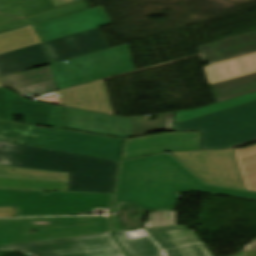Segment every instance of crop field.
I'll return each instance as SVG.
<instances>
[{"instance_id": "crop-field-1", "label": "crop field", "mask_w": 256, "mask_h": 256, "mask_svg": "<svg viewBox=\"0 0 256 256\" xmlns=\"http://www.w3.org/2000/svg\"><path fill=\"white\" fill-rule=\"evenodd\" d=\"M181 185L256 199V192L206 185L173 156L158 154L121 162L112 215L122 203L136 204L141 210L173 209Z\"/></svg>"}, {"instance_id": "crop-field-2", "label": "crop field", "mask_w": 256, "mask_h": 256, "mask_svg": "<svg viewBox=\"0 0 256 256\" xmlns=\"http://www.w3.org/2000/svg\"><path fill=\"white\" fill-rule=\"evenodd\" d=\"M118 162L0 142V165L70 173L68 191L113 193Z\"/></svg>"}, {"instance_id": "crop-field-3", "label": "crop field", "mask_w": 256, "mask_h": 256, "mask_svg": "<svg viewBox=\"0 0 256 256\" xmlns=\"http://www.w3.org/2000/svg\"><path fill=\"white\" fill-rule=\"evenodd\" d=\"M0 141L117 161L121 139L0 121Z\"/></svg>"}, {"instance_id": "crop-field-4", "label": "crop field", "mask_w": 256, "mask_h": 256, "mask_svg": "<svg viewBox=\"0 0 256 256\" xmlns=\"http://www.w3.org/2000/svg\"><path fill=\"white\" fill-rule=\"evenodd\" d=\"M203 130L201 149L234 148L256 140V101L174 125Z\"/></svg>"}, {"instance_id": "crop-field-5", "label": "crop field", "mask_w": 256, "mask_h": 256, "mask_svg": "<svg viewBox=\"0 0 256 256\" xmlns=\"http://www.w3.org/2000/svg\"><path fill=\"white\" fill-rule=\"evenodd\" d=\"M111 200L112 195L0 189V207H16L18 217L91 213L97 208L109 212Z\"/></svg>"}, {"instance_id": "crop-field-6", "label": "crop field", "mask_w": 256, "mask_h": 256, "mask_svg": "<svg viewBox=\"0 0 256 256\" xmlns=\"http://www.w3.org/2000/svg\"><path fill=\"white\" fill-rule=\"evenodd\" d=\"M31 227L40 229L37 241L110 232L109 216L0 219V245L31 242Z\"/></svg>"}, {"instance_id": "crop-field-7", "label": "crop field", "mask_w": 256, "mask_h": 256, "mask_svg": "<svg viewBox=\"0 0 256 256\" xmlns=\"http://www.w3.org/2000/svg\"><path fill=\"white\" fill-rule=\"evenodd\" d=\"M64 61L50 65L59 90L134 70L127 45Z\"/></svg>"}, {"instance_id": "crop-field-8", "label": "crop field", "mask_w": 256, "mask_h": 256, "mask_svg": "<svg viewBox=\"0 0 256 256\" xmlns=\"http://www.w3.org/2000/svg\"><path fill=\"white\" fill-rule=\"evenodd\" d=\"M137 121V117L123 118L111 114L65 107V129L108 135L136 137L155 131H172L174 113L158 115L156 121ZM156 128V130H153Z\"/></svg>"}, {"instance_id": "crop-field-9", "label": "crop field", "mask_w": 256, "mask_h": 256, "mask_svg": "<svg viewBox=\"0 0 256 256\" xmlns=\"http://www.w3.org/2000/svg\"><path fill=\"white\" fill-rule=\"evenodd\" d=\"M9 250L30 256H124L109 233L0 246Z\"/></svg>"}, {"instance_id": "crop-field-10", "label": "crop field", "mask_w": 256, "mask_h": 256, "mask_svg": "<svg viewBox=\"0 0 256 256\" xmlns=\"http://www.w3.org/2000/svg\"><path fill=\"white\" fill-rule=\"evenodd\" d=\"M170 153L208 184L246 190L233 149Z\"/></svg>"}, {"instance_id": "crop-field-11", "label": "crop field", "mask_w": 256, "mask_h": 256, "mask_svg": "<svg viewBox=\"0 0 256 256\" xmlns=\"http://www.w3.org/2000/svg\"><path fill=\"white\" fill-rule=\"evenodd\" d=\"M199 132H170L125 139L122 159L163 151L198 150Z\"/></svg>"}, {"instance_id": "crop-field-12", "label": "crop field", "mask_w": 256, "mask_h": 256, "mask_svg": "<svg viewBox=\"0 0 256 256\" xmlns=\"http://www.w3.org/2000/svg\"><path fill=\"white\" fill-rule=\"evenodd\" d=\"M110 24L102 6L35 23L43 42Z\"/></svg>"}, {"instance_id": "crop-field-13", "label": "crop field", "mask_w": 256, "mask_h": 256, "mask_svg": "<svg viewBox=\"0 0 256 256\" xmlns=\"http://www.w3.org/2000/svg\"><path fill=\"white\" fill-rule=\"evenodd\" d=\"M15 114L24 115V123L50 127V105L27 100L0 87V119L13 121Z\"/></svg>"}, {"instance_id": "crop-field-14", "label": "crop field", "mask_w": 256, "mask_h": 256, "mask_svg": "<svg viewBox=\"0 0 256 256\" xmlns=\"http://www.w3.org/2000/svg\"><path fill=\"white\" fill-rule=\"evenodd\" d=\"M45 45L54 62L109 48L99 28L48 41Z\"/></svg>"}, {"instance_id": "crop-field-15", "label": "crop field", "mask_w": 256, "mask_h": 256, "mask_svg": "<svg viewBox=\"0 0 256 256\" xmlns=\"http://www.w3.org/2000/svg\"><path fill=\"white\" fill-rule=\"evenodd\" d=\"M114 236L127 256H210L201 243L161 252L149 236L131 239L126 231Z\"/></svg>"}, {"instance_id": "crop-field-16", "label": "crop field", "mask_w": 256, "mask_h": 256, "mask_svg": "<svg viewBox=\"0 0 256 256\" xmlns=\"http://www.w3.org/2000/svg\"><path fill=\"white\" fill-rule=\"evenodd\" d=\"M59 93L65 106L114 114L103 81Z\"/></svg>"}, {"instance_id": "crop-field-17", "label": "crop field", "mask_w": 256, "mask_h": 256, "mask_svg": "<svg viewBox=\"0 0 256 256\" xmlns=\"http://www.w3.org/2000/svg\"><path fill=\"white\" fill-rule=\"evenodd\" d=\"M0 83L21 95H42L56 90L48 66L0 78Z\"/></svg>"}, {"instance_id": "crop-field-18", "label": "crop field", "mask_w": 256, "mask_h": 256, "mask_svg": "<svg viewBox=\"0 0 256 256\" xmlns=\"http://www.w3.org/2000/svg\"><path fill=\"white\" fill-rule=\"evenodd\" d=\"M44 50L39 43L0 54V77L51 63Z\"/></svg>"}, {"instance_id": "crop-field-19", "label": "crop field", "mask_w": 256, "mask_h": 256, "mask_svg": "<svg viewBox=\"0 0 256 256\" xmlns=\"http://www.w3.org/2000/svg\"><path fill=\"white\" fill-rule=\"evenodd\" d=\"M206 63L256 51V32L198 47ZM218 53V54H215ZM219 56H221L219 58Z\"/></svg>"}, {"instance_id": "crop-field-20", "label": "crop field", "mask_w": 256, "mask_h": 256, "mask_svg": "<svg viewBox=\"0 0 256 256\" xmlns=\"http://www.w3.org/2000/svg\"><path fill=\"white\" fill-rule=\"evenodd\" d=\"M209 83L256 72V53L205 66Z\"/></svg>"}, {"instance_id": "crop-field-21", "label": "crop field", "mask_w": 256, "mask_h": 256, "mask_svg": "<svg viewBox=\"0 0 256 256\" xmlns=\"http://www.w3.org/2000/svg\"><path fill=\"white\" fill-rule=\"evenodd\" d=\"M186 226H170L145 229L161 251L200 242L197 237L185 229Z\"/></svg>"}, {"instance_id": "crop-field-22", "label": "crop field", "mask_w": 256, "mask_h": 256, "mask_svg": "<svg viewBox=\"0 0 256 256\" xmlns=\"http://www.w3.org/2000/svg\"><path fill=\"white\" fill-rule=\"evenodd\" d=\"M216 102L256 92V73L211 84Z\"/></svg>"}, {"instance_id": "crop-field-23", "label": "crop field", "mask_w": 256, "mask_h": 256, "mask_svg": "<svg viewBox=\"0 0 256 256\" xmlns=\"http://www.w3.org/2000/svg\"><path fill=\"white\" fill-rule=\"evenodd\" d=\"M235 152L246 189L256 191V145Z\"/></svg>"}, {"instance_id": "crop-field-24", "label": "crop field", "mask_w": 256, "mask_h": 256, "mask_svg": "<svg viewBox=\"0 0 256 256\" xmlns=\"http://www.w3.org/2000/svg\"><path fill=\"white\" fill-rule=\"evenodd\" d=\"M32 26L0 34V53L39 43Z\"/></svg>"}, {"instance_id": "crop-field-25", "label": "crop field", "mask_w": 256, "mask_h": 256, "mask_svg": "<svg viewBox=\"0 0 256 256\" xmlns=\"http://www.w3.org/2000/svg\"><path fill=\"white\" fill-rule=\"evenodd\" d=\"M256 100V93L240 96L197 110L176 112L175 124Z\"/></svg>"}, {"instance_id": "crop-field-26", "label": "crop field", "mask_w": 256, "mask_h": 256, "mask_svg": "<svg viewBox=\"0 0 256 256\" xmlns=\"http://www.w3.org/2000/svg\"><path fill=\"white\" fill-rule=\"evenodd\" d=\"M67 183L0 177L2 189H40L66 191Z\"/></svg>"}, {"instance_id": "crop-field-27", "label": "crop field", "mask_w": 256, "mask_h": 256, "mask_svg": "<svg viewBox=\"0 0 256 256\" xmlns=\"http://www.w3.org/2000/svg\"><path fill=\"white\" fill-rule=\"evenodd\" d=\"M15 169V171H10ZM0 176L67 182L68 174L0 166Z\"/></svg>"}, {"instance_id": "crop-field-28", "label": "crop field", "mask_w": 256, "mask_h": 256, "mask_svg": "<svg viewBox=\"0 0 256 256\" xmlns=\"http://www.w3.org/2000/svg\"><path fill=\"white\" fill-rule=\"evenodd\" d=\"M177 211H160L148 213L144 228L175 225Z\"/></svg>"}, {"instance_id": "crop-field-29", "label": "crop field", "mask_w": 256, "mask_h": 256, "mask_svg": "<svg viewBox=\"0 0 256 256\" xmlns=\"http://www.w3.org/2000/svg\"><path fill=\"white\" fill-rule=\"evenodd\" d=\"M25 16L26 15L24 11L21 5L19 4L17 6L0 11V23L18 19Z\"/></svg>"}, {"instance_id": "crop-field-30", "label": "crop field", "mask_w": 256, "mask_h": 256, "mask_svg": "<svg viewBox=\"0 0 256 256\" xmlns=\"http://www.w3.org/2000/svg\"><path fill=\"white\" fill-rule=\"evenodd\" d=\"M51 127L63 129V106L51 105Z\"/></svg>"}, {"instance_id": "crop-field-31", "label": "crop field", "mask_w": 256, "mask_h": 256, "mask_svg": "<svg viewBox=\"0 0 256 256\" xmlns=\"http://www.w3.org/2000/svg\"><path fill=\"white\" fill-rule=\"evenodd\" d=\"M36 99L38 100H43V101H49V102H53L56 105H61L58 93H53L50 95H46V96H41V97H37Z\"/></svg>"}, {"instance_id": "crop-field-32", "label": "crop field", "mask_w": 256, "mask_h": 256, "mask_svg": "<svg viewBox=\"0 0 256 256\" xmlns=\"http://www.w3.org/2000/svg\"><path fill=\"white\" fill-rule=\"evenodd\" d=\"M16 216L14 208H0V217Z\"/></svg>"}, {"instance_id": "crop-field-33", "label": "crop field", "mask_w": 256, "mask_h": 256, "mask_svg": "<svg viewBox=\"0 0 256 256\" xmlns=\"http://www.w3.org/2000/svg\"><path fill=\"white\" fill-rule=\"evenodd\" d=\"M19 4L18 0H0V10Z\"/></svg>"}, {"instance_id": "crop-field-34", "label": "crop field", "mask_w": 256, "mask_h": 256, "mask_svg": "<svg viewBox=\"0 0 256 256\" xmlns=\"http://www.w3.org/2000/svg\"><path fill=\"white\" fill-rule=\"evenodd\" d=\"M127 232L131 236V238L147 235V233L144 231V229L130 230V231H127Z\"/></svg>"}, {"instance_id": "crop-field-35", "label": "crop field", "mask_w": 256, "mask_h": 256, "mask_svg": "<svg viewBox=\"0 0 256 256\" xmlns=\"http://www.w3.org/2000/svg\"><path fill=\"white\" fill-rule=\"evenodd\" d=\"M76 1H79V0H52L55 7L65 5V4H69V3H73V2H76Z\"/></svg>"}, {"instance_id": "crop-field-36", "label": "crop field", "mask_w": 256, "mask_h": 256, "mask_svg": "<svg viewBox=\"0 0 256 256\" xmlns=\"http://www.w3.org/2000/svg\"><path fill=\"white\" fill-rule=\"evenodd\" d=\"M114 232L120 231L121 227L116 216H112Z\"/></svg>"}, {"instance_id": "crop-field-37", "label": "crop field", "mask_w": 256, "mask_h": 256, "mask_svg": "<svg viewBox=\"0 0 256 256\" xmlns=\"http://www.w3.org/2000/svg\"><path fill=\"white\" fill-rule=\"evenodd\" d=\"M180 190L202 192L200 188L181 186Z\"/></svg>"}, {"instance_id": "crop-field-38", "label": "crop field", "mask_w": 256, "mask_h": 256, "mask_svg": "<svg viewBox=\"0 0 256 256\" xmlns=\"http://www.w3.org/2000/svg\"><path fill=\"white\" fill-rule=\"evenodd\" d=\"M33 229V228H31ZM28 234H29V237L31 238L32 242L36 240V238L38 237L39 235V230L36 234H30L29 231H28Z\"/></svg>"}, {"instance_id": "crop-field-39", "label": "crop field", "mask_w": 256, "mask_h": 256, "mask_svg": "<svg viewBox=\"0 0 256 256\" xmlns=\"http://www.w3.org/2000/svg\"><path fill=\"white\" fill-rule=\"evenodd\" d=\"M242 256H256V253H253V254H247V255H242Z\"/></svg>"}]
</instances>
